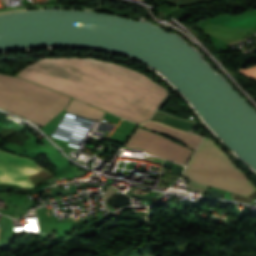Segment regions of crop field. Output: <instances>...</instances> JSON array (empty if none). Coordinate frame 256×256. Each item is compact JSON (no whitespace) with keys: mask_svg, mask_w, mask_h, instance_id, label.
Wrapping results in <instances>:
<instances>
[{"mask_svg":"<svg viewBox=\"0 0 256 256\" xmlns=\"http://www.w3.org/2000/svg\"><path fill=\"white\" fill-rule=\"evenodd\" d=\"M74 59L169 93L132 70L92 59ZM74 59H42L27 66L17 76L53 88L135 123L148 120L167 96Z\"/></svg>","mask_w":256,"mask_h":256,"instance_id":"obj_1","label":"crop field"},{"mask_svg":"<svg viewBox=\"0 0 256 256\" xmlns=\"http://www.w3.org/2000/svg\"><path fill=\"white\" fill-rule=\"evenodd\" d=\"M73 99L27 81L0 74V108L45 125Z\"/></svg>","mask_w":256,"mask_h":256,"instance_id":"obj_2","label":"crop field"},{"mask_svg":"<svg viewBox=\"0 0 256 256\" xmlns=\"http://www.w3.org/2000/svg\"><path fill=\"white\" fill-rule=\"evenodd\" d=\"M182 176L245 197L256 190L246 175L209 138H205Z\"/></svg>","mask_w":256,"mask_h":256,"instance_id":"obj_3","label":"crop field"},{"mask_svg":"<svg viewBox=\"0 0 256 256\" xmlns=\"http://www.w3.org/2000/svg\"><path fill=\"white\" fill-rule=\"evenodd\" d=\"M41 169L36 163L27 158L0 150V185H10L27 189L33 188L40 181L54 176L47 170ZM35 171L38 172L33 173Z\"/></svg>","mask_w":256,"mask_h":256,"instance_id":"obj_4","label":"crop field"},{"mask_svg":"<svg viewBox=\"0 0 256 256\" xmlns=\"http://www.w3.org/2000/svg\"><path fill=\"white\" fill-rule=\"evenodd\" d=\"M128 148L145 149L156 156L185 164L192 151L169 141L162 136L138 128L125 145ZM146 151V152H147Z\"/></svg>","mask_w":256,"mask_h":256,"instance_id":"obj_5","label":"crop field"},{"mask_svg":"<svg viewBox=\"0 0 256 256\" xmlns=\"http://www.w3.org/2000/svg\"><path fill=\"white\" fill-rule=\"evenodd\" d=\"M140 126H144L151 130L165 134L171 138L178 140L181 143L189 145L190 147H192L195 150L202 140V137L187 134L185 132L170 128V127L163 125L159 122H145L143 124H140Z\"/></svg>","mask_w":256,"mask_h":256,"instance_id":"obj_6","label":"crop field"},{"mask_svg":"<svg viewBox=\"0 0 256 256\" xmlns=\"http://www.w3.org/2000/svg\"><path fill=\"white\" fill-rule=\"evenodd\" d=\"M65 110L99 120H101L105 114L103 111L94 109L84 103L75 100Z\"/></svg>","mask_w":256,"mask_h":256,"instance_id":"obj_7","label":"crop field"},{"mask_svg":"<svg viewBox=\"0 0 256 256\" xmlns=\"http://www.w3.org/2000/svg\"><path fill=\"white\" fill-rule=\"evenodd\" d=\"M222 26H229V27H252L256 26V16L214 22Z\"/></svg>","mask_w":256,"mask_h":256,"instance_id":"obj_8","label":"crop field"},{"mask_svg":"<svg viewBox=\"0 0 256 256\" xmlns=\"http://www.w3.org/2000/svg\"><path fill=\"white\" fill-rule=\"evenodd\" d=\"M254 196H256V191L254 193H252L248 198L241 197V196L233 194L232 200L252 203V199H253Z\"/></svg>","mask_w":256,"mask_h":256,"instance_id":"obj_9","label":"crop field"},{"mask_svg":"<svg viewBox=\"0 0 256 256\" xmlns=\"http://www.w3.org/2000/svg\"><path fill=\"white\" fill-rule=\"evenodd\" d=\"M239 72L246 76L256 77V66L250 67L248 69L239 70Z\"/></svg>","mask_w":256,"mask_h":256,"instance_id":"obj_10","label":"crop field"}]
</instances>
